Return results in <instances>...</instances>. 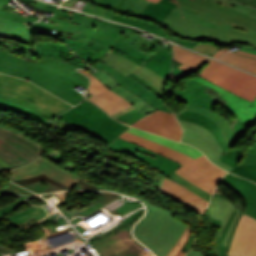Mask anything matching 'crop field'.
Wrapping results in <instances>:
<instances>
[{
	"label": "crop field",
	"mask_w": 256,
	"mask_h": 256,
	"mask_svg": "<svg viewBox=\"0 0 256 256\" xmlns=\"http://www.w3.org/2000/svg\"><path fill=\"white\" fill-rule=\"evenodd\" d=\"M170 1L179 5L160 24L179 37L229 45L252 44L256 36V21L229 7L207 0Z\"/></svg>",
	"instance_id": "obj_1"
},
{
	"label": "crop field",
	"mask_w": 256,
	"mask_h": 256,
	"mask_svg": "<svg viewBox=\"0 0 256 256\" xmlns=\"http://www.w3.org/2000/svg\"><path fill=\"white\" fill-rule=\"evenodd\" d=\"M45 10L55 12L51 20L59 22L58 25L38 22L34 23L32 28L57 30L56 33L46 32L50 35L70 37L111 48L124 32L133 30L127 26L103 21L49 3Z\"/></svg>",
	"instance_id": "obj_2"
},
{
	"label": "crop field",
	"mask_w": 256,
	"mask_h": 256,
	"mask_svg": "<svg viewBox=\"0 0 256 256\" xmlns=\"http://www.w3.org/2000/svg\"><path fill=\"white\" fill-rule=\"evenodd\" d=\"M137 197V196H134ZM146 217L135 227L137 238L145 243L157 256H175L187 241L192 229L173 219V213L152 206Z\"/></svg>",
	"instance_id": "obj_3"
},
{
	"label": "crop field",
	"mask_w": 256,
	"mask_h": 256,
	"mask_svg": "<svg viewBox=\"0 0 256 256\" xmlns=\"http://www.w3.org/2000/svg\"><path fill=\"white\" fill-rule=\"evenodd\" d=\"M120 138L182 163L174 172L210 194H213L217 182L226 174L221 168L211 164L204 155L194 160L172 148L128 132L123 133Z\"/></svg>",
	"instance_id": "obj_4"
},
{
	"label": "crop field",
	"mask_w": 256,
	"mask_h": 256,
	"mask_svg": "<svg viewBox=\"0 0 256 256\" xmlns=\"http://www.w3.org/2000/svg\"><path fill=\"white\" fill-rule=\"evenodd\" d=\"M34 64L0 51L1 73L28 79L73 105L83 101L84 97L73 89L79 84L50 71L38 68Z\"/></svg>",
	"instance_id": "obj_5"
},
{
	"label": "crop field",
	"mask_w": 256,
	"mask_h": 256,
	"mask_svg": "<svg viewBox=\"0 0 256 256\" xmlns=\"http://www.w3.org/2000/svg\"><path fill=\"white\" fill-rule=\"evenodd\" d=\"M0 98L29 107L49 118L72 107L36 85L0 73Z\"/></svg>",
	"instance_id": "obj_6"
},
{
	"label": "crop field",
	"mask_w": 256,
	"mask_h": 256,
	"mask_svg": "<svg viewBox=\"0 0 256 256\" xmlns=\"http://www.w3.org/2000/svg\"><path fill=\"white\" fill-rule=\"evenodd\" d=\"M59 117L106 144L128 128L87 100Z\"/></svg>",
	"instance_id": "obj_7"
},
{
	"label": "crop field",
	"mask_w": 256,
	"mask_h": 256,
	"mask_svg": "<svg viewBox=\"0 0 256 256\" xmlns=\"http://www.w3.org/2000/svg\"><path fill=\"white\" fill-rule=\"evenodd\" d=\"M115 49L112 53L107 52L100 61L112 66L123 75H130L159 97H162V91L166 79L146 68L142 62H147L151 57L135 50L129 49L115 43L112 47Z\"/></svg>",
	"instance_id": "obj_8"
},
{
	"label": "crop field",
	"mask_w": 256,
	"mask_h": 256,
	"mask_svg": "<svg viewBox=\"0 0 256 256\" xmlns=\"http://www.w3.org/2000/svg\"><path fill=\"white\" fill-rule=\"evenodd\" d=\"M42 179H45L65 190H70L76 183L86 189L103 190L82 181L78 177L41 158L27 166L13 170L11 177L13 182L21 186L32 184Z\"/></svg>",
	"instance_id": "obj_9"
},
{
	"label": "crop field",
	"mask_w": 256,
	"mask_h": 256,
	"mask_svg": "<svg viewBox=\"0 0 256 256\" xmlns=\"http://www.w3.org/2000/svg\"><path fill=\"white\" fill-rule=\"evenodd\" d=\"M200 76L252 102L256 97V76L213 59L202 70Z\"/></svg>",
	"instance_id": "obj_10"
},
{
	"label": "crop field",
	"mask_w": 256,
	"mask_h": 256,
	"mask_svg": "<svg viewBox=\"0 0 256 256\" xmlns=\"http://www.w3.org/2000/svg\"><path fill=\"white\" fill-rule=\"evenodd\" d=\"M208 210L212 225L220 228L216 242V255L228 256L231 239L242 211L236 209L229 198L217 194H214Z\"/></svg>",
	"instance_id": "obj_11"
},
{
	"label": "crop field",
	"mask_w": 256,
	"mask_h": 256,
	"mask_svg": "<svg viewBox=\"0 0 256 256\" xmlns=\"http://www.w3.org/2000/svg\"><path fill=\"white\" fill-rule=\"evenodd\" d=\"M178 121L184 129L182 142L195 146L201 150L210 161L228 172L233 169V167L220 161V156L223 154V151L214 136L207 129L192 122L179 119Z\"/></svg>",
	"instance_id": "obj_12"
},
{
	"label": "crop field",
	"mask_w": 256,
	"mask_h": 256,
	"mask_svg": "<svg viewBox=\"0 0 256 256\" xmlns=\"http://www.w3.org/2000/svg\"><path fill=\"white\" fill-rule=\"evenodd\" d=\"M107 148L110 150L130 154L150 164L151 166L155 167L157 170L166 174L167 176L173 173V171L178 169V167L181 165L177 162L169 160L163 156H160L154 152H150L142 147H139L135 144H131L120 138L115 140L112 144H108Z\"/></svg>",
	"instance_id": "obj_13"
},
{
	"label": "crop field",
	"mask_w": 256,
	"mask_h": 256,
	"mask_svg": "<svg viewBox=\"0 0 256 256\" xmlns=\"http://www.w3.org/2000/svg\"><path fill=\"white\" fill-rule=\"evenodd\" d=\"M229 256H256V219L241 215L229 250Z\"/></svg>",
	"instance_id": "obj_14"
},
{
	"label": "crop field",
	"mask_w": 256,
	"mask_h": 256,
	"mask_svg": "<svg viewBox=\"0 0 256 256\" xmlns=\"http://www.w3.org/2000/svg\"><path fill=\"white\" fill-rule=\"evenodd\" d=\"M131 126L152 133L180 140L182 129L179 127L174 115L157 110L133 123Z\"/></svg>",
	"instance_id": "obj_15"
},
{
	"label": "crop field",
	"mask_w": 256,
	"mask_h": 256,
	"mask_svg": "<svg viewBox=\"0 0 256 256\" xmlns=\"http://www.w3.org/2000/svg\"><path fill=\"white\" fill-rule=\"evenodd\" d=\"M202 84H206L211 89L218 92L228 103L222 107L227 109L237 118L244 121L249 126H252L256 123V99L253 103L240 98L202 78L199 76L192 78Z\"/></svg>",
	"instance_id": "obj_16"
},
{
	"label": "crop field",
	"mask_w": 256,
	"mask_h": 256,
	"mask_svg": "<svg viewBox=\"0 0 256 256\" xmlns=\"http://www.w3.org/2000/svg\"><path fill=\"white\" fill-rule=\"evenodd\" d=\"M78 71L86 74L91 80V84L88 91L93 96L88 99L96 103L98 106H100L110 116L132 106L129 102L120 97L118 94L109 90L94 76L80 69H78Z\"/></svg>",
	"instance_id": "obj_17"
},
{
	"label": "crop field",
	"mask_w": 256,
	"mask_h": 256,
	"mask_svg": "<svg viewBox=\"0 0 256 256\" xmlns=\"http://www.w3.org/2000/svg\"><path fill=\"white\" fill-rule=\"evenodd\" d=\"M95 67H98V68L106 71L109 75L112 76V78H114L118 81L119 85H121L124 88H126L127 90L137 94L151 106L171 113V111L164 106L163 99L159 98L157 95H155L153 92H151L149 89H147L145 86H143L142 84H140L133 78L129 77L128 75L126 77L123 76L118 71L107 66L106 64H104L102 62L95 65Z\"/></svg>",
	"instance_id": "obj_18"
},
{
	"label": "crop field",
	"mask_w": 256,
	"mask_h": 256,
	"mask_svg": "<svg viewBox=\"0 0 256 256\" xmlns=\"http://www.w3.org/2000/svg\"><path fill=\"white\" fill-rule=\"evenodd\" d=\"M158 189L175 201L196 211L199 215L203 214L209 203L183 186L164 177Z\"/></svg>",
	"instance_id": "obj_19"
},
{
	"label": "crop field",
	"mask_w": 256,
	"mask_h": 256,
	"mask_svg": "<svg viewBox=\"0 0 256 256\" xmlns=\"http://www.w3.org/2000/svg\"><path fill=\"white\" fill-rule=\"evenodd\" d=\"M0 138L34 160L44 152L42 144L14 128L0 125Z\"/></svg>",
	"instance_id": "obj_20"
},
{
	"label": "crop field",
	"mask_w": 256,
	"mask_h": 256,
	"mask_svg": "<svg viewBox=\"0 0 256 256\" xmlns=\"http://www.w3.org/2000/svg\"><path fill=\"white\" fill-rule=\"evenodd\" d=\"M209 89L205 85H201L191 79L185 82L184 90L176 89L175 96L179 102L198 105L211 111L215 109L218 103L209 96L205 90Z\"/></svg>",
	"instance_id": "obj_21"
},
{
	"label": "crop field",
	"mask_w": 256,
	"mask_h": 256,
	"mask_svg": "<svg viewBox=\"0 0 256 256\" xmlns=\"http://www.w3.org/2000/svg\"><path fill=\"white\" fill-rule=\"evenodd\" d=\"M29 23L0 18V38H5L33 46L34 33L43 34L40 31L26 27Z\"/></svg>",
	"instance_id": "obj_22"
},
{
	"label": "crop field",
	"mask_w": 256,
	"mask_h": 256,
	"mask_svg": "<svg viewBox=\"0 0 256 256\" xmlns=\"http://www.w3.org/2000/svg\"><path fill=\"white\" fill-rule=\"evenodd\" d=\"M220 182L243 196L247 202V209L244 213L256 218V184L230 173H228Z\"/></svg>",
	"instance_id": "obj_23"
},
{
	"label": "crop field",
	"mask_w": 256,
	"mask_h": 256,
	"mask_svg": "<svg viewBox=\"0 0 256 256\" xmlns=\"http://www.w3.org/2000/svg\"><path fill=\"white\" fill-rule=\"evenodd\" d=\"M36 66H39L41 68H44L52 72H55L57 74H60L62 76H65L81 84V86L85 88H87L89 84V80L86 78V76L77 72L76 70L77 67L72 66L63 61L52 59V58L39 57L36 62Z\"/></svg>",
	"instance_id": "obj_24"
},
{
	"label": "crop field",
	"mask_w": 256,
	"mask_h": 256,
	"mask_svg": "<svg viewBox=\"0 0 256 256\" xmlns=\"http://www.w3.org/2000/svg\"><path fill=\"white\" fill-rule=\"evenodd\" d=\"M97 69V68H96ZM97 73L89 72L96 76L104 85H106L109 89L115 91L123 98L128 100L134 107L140 110L145 115L156 110L155 108L151 107L150 105L146 104L140 97L132 94L131 92L127 91L123 87L119 86L116 80L112 79L106 72L97 69Z\"/></svg>",
	"instance_id": "obj_25"
},
{
	"label": "crop field",
	"mask_w": 256,
	"mask_h": 256,
	"mask_svg": "<svg viewBox=\"0 0 256 256\" xmlns=\"http://www.w3.org/2000/svg\"><path fill=\"white\" fill-rule=\"evenodd\" d=\"M172 46L174 48L173 59L183 64L178 68L182 69L188 74L198 71L209 60L207 57L193 53L178 45L172 44Z\"/></svg>",
	"instance_id": "obj_26"
},
{
	"label": "crop field",
	"mask_w": 256,
	"mask_h": 256,
	"mask_svg": "<svg viewBox=\"0 0 256 256\" xmlns=\"http://www.w3.org/2000/svg\"><path fill=\"white\" fill-rule=\"evenodd\" d=\"M99 6H103L129 16L138 17L144 7L149 3L147 0H88ZM112 5L113 7H111Z\"/></svg>",
	"instance_id": "obj_27"
},
{
	"label": "crop field",
	"mask_w": 256,
	"mask_h": 256,
	"mask_svg": "<svg viewBox=\"0 0 256 256\" xmlns=\"http://www.w3.org/2000/svg\"><path fill=\"white\" fill-rule=\"evenodd\" d=\"M177 118L192 121L206 127L215 136L224 152H227L231 149L226 143L219 126L209 117L204 116L198 112L186 110L183 111L181 116H177Z\"/></svg>",
	"instance_id": "obj_28"
},
{
	"label": "crop field",
	"mask_w": 256,
	"mask_h": 256,
	"mask_svg": "<svg viewBox=\"0 0 256 256\" xmlns=\"http://www.w3.org/2000/svg\"><path fill=\"white\" fill-rule=\"evenodd\" d=\"M32 161L34 160L0 139V169H8L13 166L20 167Z\"/></svg>",
	"instance_id": "obj_29"
},
{
	"label": "crop field",
	"mask_w": 256,
	"mask_h": 256,
	"mask_svg": "<svg viewBox=\"0 0 256 256\" xmlns=\"http://www.w3.org/2000/svg\"><path fill=\"white\" fill-rule=\"evenodd\" d=\"M56 38L63 40L67 45L71 47V49L76 53V55L83 58L88 63L97 60L99 57H101L108 51V48L93 45L90 43L69 40L62 37Z\"/></svg>",
	"instance_id": "obj_30"
},
{
	"label": "crop field",
	"mask_w": 256,
	"mask_h": 256,
	"mask_svg": "<svg viewBox=\"0 0 256 256\" xmlns=\"http://www.w3.org/2000/svg\"><path fill=\"white\" fill-rule=\"evenodd\" d=\"M117 43L130 47L142 53L154 56L162 46H159L133 32L124 33Z\"/></svg>",
	"instance_id": "obj_31"
},
{
	"label": "crop field",
	"mask_w": 256,
	"mask_h": 256,
	"mask_svg": "<svg viewBox=\"0 0 256 256\" xmlns=\"http://www.w3.org/2000/svg\"><path fill=\"white\" fill-rule=\"evenodd\" d=\"M187 109L198 111L212 118L220 126L223 135L230 147H233L242 138L234 132L231 125L228 123V120L223 116L197 106L187 105Z\"/></svg>",
	"instance_id": "obj_32"
},
{
	"label": "crop field",
	"mask_w": 256,
	"mask_h": 256,
	"mask_svg": "<svg viewBox=\"0 0 256 256\" xmlns=\"http://www.w3.org/2000/svg\"><path fill=\"white\" fill-rule=\"evenodd\" d=\"M133 134H137V135H140L144 138H147V139H150V140H153V141H156L158 143H161L163 145H166V146H169V147H172L182 153H185L193 158H197L201 155H203V153H201L200 151L196 150L195 148H193L192 146L188 145V144H184V143H176L174 141H171V140H168V139H164V138H161V137H158V136H155V135H152V134H149L147 132H144L142 130H139V129H136V128H133L131 127L129 130H127Z\"/></svg>",
	"instance_id": "obj_33"
},
{
	"label": "crop field",
	"mask_w": 256,
	"mask_h": 256,
	"mask_svg": "<svg viewBox=\"0 0 256 256\" xmlns=\"http://www.w3.org/2000/svg\"><path fill=\"white\" fill-rule=\"evenodd\" d=\"M176 6L169 0H161L158 4L150 2L139 17L160 23Z\"/></svg>",
	"instance_id": "obj_34"
},
{
	"label": "crop field",
	"mask_w": 256,
	"mask_h": 256,
	"mask_svg": "<svg viewBox=\"0 0 256 256\" xmlns=\"http://www.w3.org/2000/svg\"><path fill=\"white\" fill-rule=\"evenodd\" d=\"M242 150L243 149H232L228 153L221 156V161L233 167L237 165V163L245 165V164L256 162V142L255 141L253 146L250 147L249 151L245 155H243Z\"/></svg>",
	"instance_id": "obj_35"
},
{
	"label": "crop field",
	"mask_w": 256,
	"mask_h": 256,
	"mask_svg": "<svg viewBox=\"0 0 256 256\" xmlns=\"http://www.w3.org/2000/svg\"><path fill=\"white\" fill-rule=\"evenodd\" d=\"M171 59V53L160 50L153 58H151L144 65L153 70L154 72L158 73L162 77L167 78L169 71L171 69Z\"/></svg>",
	"instance_id": "obj_36"
},
{
	"label": "crop field",
	"mask_w": 256,
	"mask_h": 256,
	"mask_svg": "<svg viewBox=\"0 0 256 256\" xmlns=\"http://www.w3.org/2000/svg\"><path fill=\"white\" fill-rule=\"evenodd\" d=\"M110 20H114V21H118V22L133 25L135 27L141 28V29L146 30L148 32H151L153 34L164 37L166 39L170 38L168 33L165 32L163 29H161L160 27H158V26H156V25H154L150 22H147V21L124 17V16H122L120 14H117V13H114L112 15V17L110 18Z\"/></svg>",
	"instance_id": "obj_37"
},
{
	"label": "crop field",
	"mask_w": 256,
	"mask_h": 256,
	"mask_svg": "<svg viewBox=\"0 0 256 256\" xmlns=\"http://www.w3.org/2000/svg\"><path fill=\"white\" fill-rule=\"evenodd\" d=\"M0 110H7V111H17L23 115H26L32 119H35L39 122H42L50 127V120L41 116L40 114L32 111L31 109H25L13 102L0 99ZM47 126V127H48Z\"/></svg>",
	"instance_id": "obj_38"
},
{
	"label": "crop field",
	"mask_w": 256,
	"mask_h": 256,
	"mask_svg": "<svg viewBox=\"0 0 256 256\" xmlns=\"http://www.w3.org/2000/svg\"><path fill=\"white\" fill-rule=\"evenodd\" d=\"M36 56H44V57H52L56 59L63 60L65 62H68L72 65H75L80 68H86L88 65L81 59H77L74 57H70L64 53H59L57 51H34Z\"/></svg>",
	"instance_id": "obj_39"
},
{
	"label": "crop field",
	"mask_w": 256,
	"mask_h": 256,
	"mask_svg": "<svg viewBox=\"0 0 256 256\" xmlns=\"http://www.w3.org/2000/svg\"><path fill=\"white\" fill-rule=\"evenodd\" d=\"M168 178L178 182L179 184L183 185L187 189H189L192 192L196 193L197 195L201 196L205 200L210 201V199H211V195L210 194H208L205 191H203V190L199 189L198 187L194 186L193 184H191L190 182L186 181L185 179H183L182 177H180L176 173H173Z\"/></svg>",
	"instance_id": "obj_40"
},
{
	"label": "crop field",
	"mask_w": 256,
	"mask_h": 256,
	"mask_svg": "<svg viewBox=\"0 0 256 256\" xmlns=\"http://www.w3.org/2000/svg\"><path fill=\"white\" fill-rule=\"evenodd\" d=\"M0 50L12 53L16 56H19L21 58H24V59L30 60V61H34V62L37 59V57L34 56L33 51L29 52V51L23 50L21 48L10 46V45L3 44V43H0Z\"/></svg>",
	"instance_id": "obj_41"
},
{
	"label": "crop field",
	"mask_w": 256,
	"mask_h": 256,
	"mask_svg": "<svg viewBox=\"0 0 256 256\" xmlns=\"http://www.w3.org/2000/svg\"><path fill=\"white\" fill-rule=\"evenodd\" d=\"M230 172L256 182V163L245 165V166L237 165Z\"/></svg>",
	"instance_id": "obj_42"
},
{
	"label": "crop field",
	"mask_w": 256,
	"mask_h": 256,
	"mask_svg": "<svg viewBox=\"0 0 256 256\" xmlns=\"http://www.w3.org/2000/svg\"><path fill=\"white\" fill-rule=\"evenodd\" d=\"M83 12H87L107 19H109L113 14V12L111 11L99 8L89 3L86 4L85 8L83 9Z\"/></svg>",
	"instance_id": "obj_43"
},
{
	"label": "crop field",
	"mask_w": 256,
	"mask_h": 256,
	"mask_svg": "<svg viewBox=\"0 0 256 256\" xmlns=\"http://www.w3.org/2000/svg\"><path fill=\"white\" fill-rule=\"evenodd\" d=\"M220 48L214 46L213 44L210 43H200L198 42L196 46L193 48V50L198 51L200 53H203L205 55H208L210 57L213 56V54L219 50Z\"/></svg>",
	"instance_id": "obj_44"
},
{
	"label": "crop field",
	"mask_w": 256,
	"mask_h": 256,
	"mask_svg": "<svg viewBox=\"0 0 256 256\" xmlns=\"http://www.w3.org/2000/svg\"><path fill=\"white\" fill-rule=\"evenodd\" d=\"M35 49H54L61 52H64L69 55H74L71 50L68 49L65 45H58L54 43H42V44H36Z\"/></svg>",
	"instance_id": "obj_45"
},
{
	"label": "crop field",
	"mask_w": 256,
	"mask_h": 256,
	"mask_svg": "<svg viewBox=\"0 0 256 256\" xmlns=\"http://www.w3.org/2000/svg\"><path fill=\"white\" fill-rule=\"evenodd\" d=\"M232 53L228 52L227 54L224 55V57L230 58L232 60H235L256 68V59H252V58H248V57H244V56H240Z\"/></svg>",
	"instance_id": "obj_46"
},
{
	"label": "crop field",
	"mask_w": 256,
	"mask_h": 256,
	"mask_svg": "<svg viewBox=\"0 0 256 256\" xmlns=\"http://www.w3.org/2000/svg\"><path fill=\"white\" fill-rule=\"evenodd\" d=\"M10 1L11 0H0V7L5 5L6 3L10 2ZM0 17H6V18H11V19L31 22L30 19H28L26 17H23L21 15H17L13 12L4 11V10H0Z\"/></svg>",
	"instance_id": "obj_47"
},
{
	"label": "crop field",
	"mask_w": 256,
	"mask_h": 256,
	"mask_svg": "<svg viewBox=\"0 0 256 256\" xmlns=\"http://www.w3.org/2000/svg\"><path fill=\"white\" fill-rule=\"evenodd\" d=\"M229 122L232 124L236 133L241 135L242 137L246 134L247 130L250 128L245 123L238 120L237 118L231 119L229 120Z\"/></svg>",
	"instance_id": "obj_48"
},
{
	"label": "crop field",
	"mask_w": 256,
	"mask_h": 256,
	"mask_svg": "<svg viewBox=\"0 0 256 256\" xmlns=\"http://www.w3.org/2000/svg\"><path fill=\"white\" fill-rule=\"evenodd\" d=\"M245 6H242V5H239V4L235 3L231 7V9L235 10V11H238L240 13L246 14V15H248V16H250V17H252L256 20V9H252V8L245 7Z\"/></svg>",
	"instance_id": "obj_49"
},
{
	"label": "crop field",
	"mask_w": 256,
	"mask_h": 256,
	"mask_svg": "<svg viewBox=\"0 0 256 256\" xmlns=\"http://www.w3.org/2000/svg\"><path fill=\"white\" fill-rule=\"evenodd\" d=\"M233 53L256 58V50L251 47L242 46L240 50L232 51Z\"/></svg>",
	"instance_id": "obj_50"
},
{
	"label": "crop field",
	"mask_w": 256,
	"mask_h": 256,
	"mask_svg": "<svg viewBox=\"0 0 256 256\" xmlns=\"http://www.w3.org/2000/svg\"><path fill=\"white\" fill-rule=\"evenodd\" d=\"M220 60L225 61V62H227V63H230V64H232V65H235V66H237V67H240V68H242V69H245V70H247V71H250V72L256 74V69H255V68H252V67L243 65V64H241V63H238V62L229 60V59L224 58V57H222Z\"/></svg>",
	"instance_id": "obj_51"
},
{
	"label": "crop field",
	"mask_w": 256,
	"mask_h": 256,
	"mask_svg": "<svg viewBox=\"0 0 256 256\" xmlns=\"http://www.w3.org/2000/svg\"><path fill=\"white\" fill-rule=\"evenodd\" d=\"M170 40L175 42V43H178L180 45H183V46H185L187 48H190V49H192L194 47V45L197 43V42L180 40V39H177V38H171Z\"/></svg>",
	"instance_id": "obj_52"
},
{
	"label": "crop field",
	"mask_w": 256,
	"mask_h": 256,
	"mask_svg": "<svg viewBox=\"0 0 256 256\" xmlns=\"http://www.w3.org/2000/svg\"><path fill=\"white\" fill-rule=\"evenodd\" d=\"M0 42H4V43L10 44V45L18 46V47H21L23 49L30 50V51H32L33 48H34V47H31V46H28V45L20 44V43L5 40V39H0Z\"/></svg>",
	"instance_id": "obj_53"
},
{
	"label": "crop field",
	"mask_w": 256,
	"mask_h": 256,
	"mask_svg": "<svg viewBox=\"0 0 256 256\" xmlns=\"http://www.w3.org/2000/svg\"><path fill=\"white\" fill-rule=\"evenodd\" d=\"M31 5L34 8H40V9L44 10L46 3L45 2H41V1H37V0H33L31 2Z\"/></svg>",
	"instance_id": "obj_54"
},
{
	"label": "crop field",
	"mask_w": 256,
	"mask_h": 256,
	"mask_svg": "<svg viewBox=\"0 0 256 256\" xmlns=\"http://www.w3.org/2000/svg\"><path fill=\"white\" fill-rule=\"evenodd\" d=\"M252 7H256V0H234Z\"/></svg>",
	"instance_id": "obj_55"
},
{
	"label": "crop field",
	"mask_w": 256,
	"mask_h": 256,
	"mask_svg": "<svg viewBox=\"0 0 256 256\" xmlns=\"http://www.w3.org/2000/svg\"><path fill=\"white\" fill-rule=\"evenodd\" d=\"M218 3H221V4H224V5H227L229 7H231L235 2L233 1H230V0H214Z\"/></svg>",
	"instance_id": "obj_56"
},
{
	"label": "crop field",
	"mask_w": 256,
	"mask_h": 256,
	"mask_svg": "<svg viewBox=\"0 0 256 256\" xmlns=\"http://www.w3.org/2000/svg\"><path fill=\"white\" fill-rule=\"evenodd\" d=\"M78 0H67L66 2H64L62 5L65 7H69L71 8Z\"/></svg>",
	"instance_id": "obj_57"
},
{
	"label": "crop field",
	"mask_w": 256,
	"mask_h": 256,
	"mask_svg": "<svg viewBox=\"0 0 256 256\" xmlns=\"http://www.w3.org/2000/svg\"><path fill=\"white\" fill-rule=\"evenodd\" d=\"M186 256H202V253L199 251L191 250Z\"/></svg>",
	"instance_id": "obj_58"
},
{
	"label": "crop field",
	"mask_w": 256,
	"mask_h": 256,
	"mask_svg": "<svg viewBox=\"0 0 256 256\" xmlns=\"http://www.w3.org/2000/svg\"><path fill=\"white\" fill-rule=\"evenodd\" d=\"M227 50L225 49H221L220 51L216 52L215 55L213 56V58L218 59L219 57H221L224 53H226Z\"/></svg>",
	"instance_id": "obj_59"
},
{
	"label": "crop field",
	"mask_w": 256,
	"mask_h": 256,
	"mask_svg": "<svg viewBox=\"0 0 256 256\" xmlns=\"http://www.w3.org/2000/svg\"><path fill=\"white\" fill-rule=\"evenodd\" d=\"M40 18H36V17H33V16H31V21L32 22H34V21H36V20H39Z\"/></svg>",
	"instance_id": "obj_60"
},
{
	"label": "crop field",
	"mask_w": 256,
	"mask_h": 256,
	"mask_svg": "<svg viewBox=\"0 0 256 256\" xmlns=\"http://www.w3.org/2000/svg\"><path fill=\"white\" fill-rule=\"evenodd\" d=\"M179 65H180L179 63H177V62L174 61L173 69L176 68V67H178Z\"/></svg>",
	"instance_id": "obj_61"
},
{
	"label": "crop field",
	"mask_w": 256,
	"mask_h": 256,
	"mask_svg": "<svg viewBox=\"0 0 256 256\" xmlns=\"http://www.w3.org/2000/svg\"><path fill=\"white\" fill-rule=\"evenodd\" d=\"M184 255H185V253L180 251L176 256H184Z\"/></svg>",
	"instance_id": "obj_62"
},
{
	"label": "crop field",
	"mask_w": 256,
	"mask_h": 256,
	"mask_svg": "<svg viewBox=\"0 0 256 256\" xmlns=\"http://www.w3.org/2000/svg\"><path fill=\"white\" fill-rule=\"evenodd\" d=\"M252 45L256 47V38H255V40H254Z\"/></svg>",
	"instance_id": "obj_63"
},
{
	"label": "crop field",
	"mask_w": 256,
	"mask_h": 256,
	"mask_svg": "<svg viewBox=\"0 0 256 256\" xmlns=\"http://www.w3.org/2000/svg\"><path fill=\"white\" fill-rule=\"evenodd\" d=\"M149 1H153V2L158 3L160 0H149Z\"/></svg>",
	"instance_id": "obj_64"
},
{
	"label": "crop field",
	"mask_w": 256,
	"mask_h": 256,
	"mask_svg": "<svg viewBox=\"0 0 256 256\" xmlns=\"http://www.w3.org/2000/svg\"><path fill=\"white\" fill-rule=\"evenodd\" d=\"M25 1H29V2H31L32 0H25Z\"/></svg>",
	"instance_id": "obj_65"
},
{
	"label": "crop field",
	"mask_w": 256,
	"mask_h": 256,
	"mask_svg": "<svg viewBox=\"0 0 256 256\" xmlns=\"http://www.w3.org/2000/svg\"><path fill=\"white\" fill-rule=\"evenodd\" d=\"M255 141H256V138H255Z\"/></svg>",
	"instance_id": "obj_66"
}]
</instances>
